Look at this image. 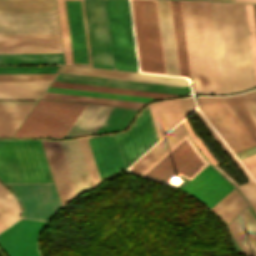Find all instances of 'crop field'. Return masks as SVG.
<instances>
[{"instance_id":"1","label":"crop field","mask_w":256,"mask_h":256,"mask_svg":"<svg viewBox=\"0 0 256 256\" xmlns=\"http://www.w3.org/2000/svg\"><path fill=\"white\" fill-rule=\"evenodd\" d=\"M194 92L230 93L253 87L243 4L181 1Z\"/></svg>"},{"instance_id":"2","label":"crop field","mask_w":256,"mask_h":256,"mask_svg":"<svg viewBox=\"0 0 256 256\" xmlns=\"http://www.w3.org/2000/svg\"><path fill=\"white\" fill-rule=\"evenodd\" d=\"M5 183L53 182L40 140H0Z\"/></svg>"},{"instance_id":"3","label":"crop field","mask_w":256,"mask_h":256,"mask_svg":"<svg viewBox=\"0 0 256 256\" xmlns=\"http://www.w3.org/2000/svg\"><path fill=\"white\" fill-rule=\"evenodd\" d=\"M140 71L166 74L156 0H130Z\"/></svg>"},{"instance_id":"4","label":"crop field","mask_w":256,"mask_h":256,"mask_svg":"<svg viewBox=\"0 0 256 256\" xmlns=\"http://www.w3.org/2000/svg\"><path fill=\"white\" fill-rule=\"evenodd\" d=\"M85 106L39 100L14 136L63 137Z\"/></svg>"},{"instance_id":"5","label":"crop field","mask_w":256,"mask_h":256,"mask_svg":"<svg viewBox=\"0 0 256 256\" xmlns=\"http://www.w3.org/2000/svg\"><path fill=\"white\" fill-rule=\"evenodd\" d=\"M208 164L187 134L141 176L165 184L176 173L191 180Z\"/></svg>"},{"instance_id":"6","label":"crop field","mask_w":256,"mask_h":256,"mask_svg":"<svg viewBox=\"0 0 256 256\" xmlns=\"http://www.w3.org/2000/svg\"><path fill=\"white\" fill-rule=\"evenodd\" d=\"M115 69L137 71L128 0H105Z\"/></svg>"},{"instance_id":"7","label":"crop field","mask_w":256,"mask_h":256,"mask_svg":"<svg viewBox=\"0 0 256 256\" xmlns=\"http://www.w3.org/2000/svg\"><path fill=\"white\" fill-rule=\"evenodd\" d=\"M197 103L198 108L233 152L237 153L255 145L219 97H198Z\"/></svg>"},{"instance_id":"8","label":"crop field","mask_w":256,"mask_h":256,"mask_svg":"<svg viewBox=\"0 0 256 256\" xmlns=\"http://www.w3.org/2000/svg\"><path fill=\"white\" fill-rule=\"evenodd\" d=\"M84 1L93 66L114 69L105 1Z\"/></svg>"},{"instance_id":"9","label":"crop field","mask_w":256,"mask_h":256,"mask_svg":"<svg viewBox=\"0 0 256 256\" xmlns=\"http://www.w3.org/2000/svg\"><path fill=\"white\" fill-rule=\"evenodd\" d=\"M113 136L125 169L158 140L148 107L128 131Z\"/></svg>"},{"instance_id":"10","label":"crop field","mask_w":256,"mask_h":256,"mask_svg":"<svg viewBox=\"0 0 256 256\" xmlns=\"http://www.w3.org/2000/svg\"><path fill=\"white\" fill-rule=\"evenodd\" d=\"M9 185L24 207V217L49 220L60 208L53 183Z\"/></svg>"},{"instance_id":"11","label":"crop field","mask_w":256,"mask_h":256,"mask_svg":"<svg viewBox=\"0 0 256 256\" xmlns=\"http://www.w3.org/2000/svg\"><path fill=\"white\" fill-rule=\"evenodd\" d=\"M72 64L92 66L83 0H63Z\"/></svg>"},{"instance_id":"12","label":"crop field","mask_w":256,"mask_h":256,"mask_svg":"<svg viewBox=\"0 0 256 256\" xmlns=\"http://www.w3.org/2000/svg\"><path fill=\"white\" fill-rule=\"evenodd\" d=\"M59 34L56 12L0 13V35Z\"/></svg>"},{"instance_id":"13","label":"crop field","mask_w":256,"mask_h":256,"mask_svg":"<svg viewBox=\"0 0 256 256\" xmlns=\"http://www.w3.org/2000/svg\"><path fill=\"white\" fill-rule=\"evenodd\" d=\"M46 222L19 220L0 233V245L9 256H40L37 236Z\"/></svg>"},{"instance_id":"14","label":"crop field","mask_w":256,"mask_h":256,"mask_svg":"<svg viewBox=\"0 0 256 256\" xmlns=\"http://www.w3.org/2000/svg\"><path fill=\"white\" fill-rule=\"evenodd\" d=\"M234 187L210 164L182 189L210 208Z\"/></svg>"},{"instance_id":"15","label":"crop field","mask_w":256,"mask_h":256,"mask_svg":"<svg viewBox=\"0 0 256 256\" xmlns=\"http://www.w3.org/2000/svg\"><path fill=\"white\" fill-rule=\"evenodd\" d=\"M55 81L97 85V86H107V87H117V88H127V89H137V90H146V91H156V92H166V93H176V94L191 93L189 87L161 85V84H153V83L99 78V77L64 74V73H59Z\"/></svg>"},{"instance_id":"16","label":"crop field","mask_w":256,"mask_h":256,"mask_svg":"<svg viewBox=\"0 0 256 256\" xmlns=\"http://www.w3.org/2000/svg\"><path fill=\"white\" fill-rule=\"evenodd\" d=\"M62 52L59 35L0 36V53Z\"/></svg>"},{"instance_id":"17","label":"crop field","mask_w":256,"mask_h":256,"mask_svg":"<svg viewBox=\"0 0 256 256\" xmlns=\"http://www.w3.org/2000/svg\"><path fill=\"white\" fill-rule=\"evenodd\" d=\"M62 206L75 192L58 141L42 140Z\"/></svg>"},{"instance_id":"18","label":"crop field","mask_w":256,"mask_h":256,"mask_svg":"<svg viewBox=\"0 0 256 256\" xmlns=\"http://www.w3.org/2000/svg\"><path fill=\"white\" fill-rule=\"evenodd\" d=\"M101 179L120 172L121 162L112 135L88 138ZM123 170V169H122Z\"/></svg>"},{"instance_id":"19","label":"crop field","mask_w":256,"mask_h":256,"mask_svg":"<svg viewBox=\"0 0 256 256\" xmlns=\"http://www.w3.org/2000/svg\"><path fill=\"white\" fill-rule=\"evenodd\" d=\"M76 195L91 189L92 184L77 140L60 142Z\"/></svg>"},{"instance_id":"20","label":"crop field","mask_w":256,"mask_h":256,"mask_svg":"<svg viewBox=\"0 0 256 256\" xmlns=\"http://www.w3.org/2000/svg\"><path fill=\"white\" fill-rule=\"evenodd\" d=\"M61 72L189 86L186 81V78H179V77L99 70V69L72 67V66H64Z\"/></svg>"},{"instance_id":"21","label":"crop field","mask_w":256,"mask_h":256,"mask_svg":"<svg viewBox=\"0 0 256 256\" xmlns=\"http://www.w3.org/2000/svg\"><path fill=\"white\" fill-rule=\"evenodd\" d=\"M157 2L165 55L166 71L167 74L179 76L169 3L168 0H157Z\"/></svg>"},{"instance_id":"22","label":"crop field","mask_w":256,"mask_h":256,"mask_svg":"<svg viewBox=\"0 0 256 256\" xmlns=\"http://www.w3.org/2000/svg\"><path fill=\"white\" fill-rule=\"evenodd\" d=\"M220 98L256 143V106L246 93Z\"/></svg>"},{"instance_id":"23","label":"crop field","mask_w":256,"mask_h":256,"mask_svg":"<svg viewBox=\"0 0 256 256\" xmlns=\"http://www.w3.org/2000/svg\"><path fill=\"white\" fill-rule=\"evenodd\" d=\"M158 138L184 118L179 100L148 105Z\"/></svg>"},{"instance_id":"24","label":"crop field","mask_w":256,"mask_h":256,"mask_svg":"<svg viewBox=\"0 0 256 256\" xmlns=\"http://www.w3.org/2000/svg\"><path fill=\"white\" fill-rule=\"evenodd\" d=\"M169 3H170L179 73H180V76L191 77L187 47H186L184 25H183V18H182V11H181V4H180V1H174V0H169Z\"/></svg>"},{"instance_id":"25","label":"crop field","mask_w":256,"mask_h":256,"mask_svg":"<svg viewBox=\"0 0 256 256\" xmlns=\"http://www.w3.org/2000/svg\"><path fill=\"white\" fill-rule=\"evenodd\" d=\"M51 81H0V99H39Z\"/></svg>"},{"instance_id":"26","label":"crop field","mask_w":256,"mask_h":256,"mask_svg":"<svg viewBox=\"0 0 256 256\" xmlns=\"http://www.w3.org/2000/svg\"><path fill=\"white\" fill-rule=\"evenodd\" d=\"M186 134L187 133L182 123H180L138 161H136L130 168V171L140 175Z\"/></svg>"},{"instance_id":"27","label":"crop field","mask_w":256,"mask_h":256,"mask_svg":"<svg viewBox=\"0 0 256 256\" xmlns=\"http://www.w3.org/2000/svg\"><path fill=\"white\" fill-rule=\"evenodd\" d=\"M111 109L107 106L87 105L64 137L95 133Z\"/></svg>"},{"instance_id":"28","label":"crop field","mask_w":256,"mask_h":256,"mask_svg":"<svg viewBox=\"0 0 256 256\" xmlns=\"http://www.w3.org/2000/svg\"><path fill=\"white\" fill-rule=\"evenodd\" d=\"M248 204L234 188L223 199H221L211 210L222 220L229 223L234 219Z\"/></svg>"},{"instance_id":"29","label":"crop field","mask_w":256,"mask_h":256,"mask_svg":"<svg viewBox=\"0 0 256 256\" xmlns=\"http://www.w3.org/2000/svg\"><path fill=\"white\" fill-rule=\"evenodd\" d=\"M32 106H0V136H12Z\"/></svg>"},{"instance_id":"30","label":"crop field","mask_w":256,"mask_h":256,"mask_svg":"<svg viewBox=\"0 0 256 256\" xmlns=\"http://www.w3.org/2000/svg\"><path fill=\"white\" fill-rule=\"evenodd\" d=\"M56 11L55 0H0V12Z\"/></svg>"},{"instance_id":"31","label":"crop field","mask_w":256,"mask_h":256,"mask_svg":"<svg viewBox=\"0 0 256 256\" xmlns=\"http://www.w3.org/2000/svg\"><path fill=\"white\" fill-rule=\"evenodd\" d=\"M8 63H63L62 53L0 54V64Z\"/></svg>"},{"instance_id":"32","label":"crop field","mask_w":256,"mask_h":256,"mask_svg":"<svg viewBox=\"0 0 256 256\" xmlns=\"http://www.w3.org/2000/svg\"><path fill=\"white\" fill-rule=\"evenodd\" d=\"M20 206V205H19ZM11 192L0 184V222L6 227L19 219L20 208ZM0 223V231L6 228Z\"/></svg>"},{"instance_id":"33","label":"crop field","mask_w":256,"mask_h":256,"mask_svg":"<svg viewBox=\"0 0 256 256\" xmlns=\"http://www.w3.org/2000/svg\"><path fill=\"white\" fill-rule=\"evenodd\" d=\"M42 98L138 108L143 103L45 92Z\"/></svg>"},{"instance_id":"34","label":"crop field","mask_w":256,"mask_h":256,"mask_svg":"<svg viewBox=\"0 0 256 256\" xmlns=\"http://www.w3.org/2000/svg\"><path fill=\"white\" fill-rule=\"evenodd\" d=\"M51 86L72 88V89H81V90H90V91H99V92H108V93H117V94H126V95H135V96H144V97H153V98H160V97L176 95V94L146 92V91H137V90H127V89L97 87V86H88V85L58 83V82H53Z\"/></svg>"},{"instance_id":"35","label":"crop field","mask_w":256,"mask_h":256,"mask_svg":"<svg viewBox=\"0 0 256 256\" xmlns=\"http://www.w3.org/2000/svg\"><path fill=\"white\" fill-rule=\"evenodd\" d=\"M136 111L113 107L96 133L124 128Z\"/></svg>"},{"instance_id":"36","label":"crop field","mask_w":256,"mask_h":256,"mask_svg":"<svg viewBox=\"0 0 256 256\" xmlns=\"http://www.w3.org/2000/svg\"><path fill=\"white\" fill-rule=\"evenodd\" d=\"M244 7L249 37L254 83L256 86V5L244 4Z\"/></svg>"},{"instance_id":"37","label":"crop field","mask_w":256,"mask_h":256,"mask_svg":"<svg viewBox=\"0 0 256 256\" xmlns=\"http://www.w3.org/2000/svg\"><path fill=\"white\" fill-rule=\"evenodd\" d=\"M47 91L59 92V93H68V94H77V95H86V96L105 97V98H114V99H123V100H132V101H141V102H146L150 99H153V98H144V97H135V96H126V95H117V94H108V93L63 89V88H54V87H49Z\"/></svg>"},{"instance_id":"38","label":"crop field","mask_w":256,"mask_h":256,"mask_svg":"<svg viewBox=\"0 0 256 256\" xmlns=\"http://www.w3.org/2000/svg\"><path fill=\"white\" fill-rule=\"evenodd\" d=\"M236 240L240 244L244 253L248 256H256V248L253 246L251 240L242 230L241 225L236 220V218L228 225Z\"/></svg>"},{"instance_id":"39","label":"crop field","mask_w":256,"mask_h":256,"mask_svg":"<svg viewBox=\"0 0 256 256\" xmlns=\"http://www.w3.org/2000/svg\"><path fill=\"white\" fill-rule=\"evenodd\" d=\"M62 66H7L0 67L2 73H58Z\"/></svg>"},{"instance_id":"40","label":"crop field","mask_w":256,"mask_h":256,"mask_svg":"<svg viewBox=\"0 0 256 256\" xmlns=\"http://www.w3.org/2000/svg\"><path fill=\"white\" fill-rule=\"evenodd\" d=\"M78 141H79V144H80V147H81V150H82L85 162H86V166H87L93 187H95L101 181L98 176V172H97V169L95 166V162H94V159L92 156V152H91V149L89 146L88 139L85 138V139H80Z\"/></svg>"},{"instance_id":"41","label":"crop field","mask_w":256,"mask_h":256,"mask_svg":"<svg viewBox=\"0 0 256 256\" xmlns=\"http://www.w3.org/2000/svg\"><path fill=\"white\" fill-rule=\"evenodd\" d=\"M237 219L256 245V220L254 219L248 208L244 210L237 217Z\"/></svg>"},{"instance_id":"42","label":"crop field","mask_w":256,"mask_h":256,"mask_svg":"<svg viewBox=\"0 0 256 256\" xmlns=\"http://www.w3.org/2000/svg\"><path fill=\"white\" fill-rule=\"evenodd\" d=\"M56 74H3L0 80H53Z\"/></svg>"},{"instance_id":"43","label":"crop field","mask_w":256,"mask_h":256,"mask_svg":"<svg viewBox=\"0 0 256 256\" xmlns=\"http://www.w3.org/2000/svg\"><path fill=\"white\" fill-rule=\"evenodd\" d=\"M66 64H71L62 0H57Z\"/></svg>"},{"instance_id":"44","label":"crop field","mask_w":256,"mask_h":256,"mask_svg":"<svg viewBox=\"0 0 256 256\" xmlns=\"http://www.w3.org/2000/svg\"><path fill=\"white\" fill-rule=\"evenodd\" d=\"M237 188L246 197V199L256 212V182L253 181Z\"/></svg>"},{"instance_id":"45","label":"crop field","mask_w":256,"mask_h":256,"mask_svg":"<svg viewBox=\"0 0 256 256\" xmlns=\"http://www.w3.org/2000/svg\"><path fill=\"white\" fill-rule=\"evenodd\" d=\"M195 112L201 118V120L204 122V124L208 127V129L212 132V134L215 136V138L219 141V143L223 146V148L230 155V157L234 160V162L241 169V171L245 174V176L248 178V180L251 181L252 177L250 178V176L247 174V172L244 170V168L240 165V163L237 161V159L233 156V154L230 152V150L227 148V146L223 143V141L220 139V137L217 135V133L213 130V128L210 126V124L206 121V119L203 117V115L200 113V111L197 110Z\"/></svg>"},{"instance_id":"46","label":"crop field","mask_w":256,"mask_h":256,"mask_svg":"<svg viewBox=\"0 0 256 256\" xmlns=\"http://www.w3.org/2000/svg\"><path fill=\"white\" fill-rule=\"evenodd\" d=\"M183 122L191 136V138L194 140V142L197 144V146L201 149V151L204 153V155L209 159V161L215 165L217 164V161L213 158V156L209 153V151L206 149V147L201 143V141L194 135L192 130L190 129L186 119H183Z\"/></svg>"},{"instance_id":"47","label":"crop field","mask_w":256,"mask_h":256,"mask_svg":"<svg viewBox=\"0 0 256 256\" xmlns=\"http://www.w3.org/2000/svg\"><path fill=\"white\" fill-rule=\"evenodd\" d=\"M241 162L256 180V155L243 159Z\"/></svg>"},{"instance_id":"48","label":"crop field","mask_w":256,"mask_h":256,"mask_svg":"<svg viewBox=\"0 0 256 256\" xmlns=\"http://www.w3.org/2000/svg\"><path fill=\"white\" fill-rule=\"evenodd\" d=\"M181 106H182V110L184 113V116L189 113L192 109H194V104H193V100L192 98H184V99H179Z\"/></svg>"},{"instance_id":"49","label":"crop field","mask_w":256,"mask_h":256,"mask_svg":"<svg viewBox=\"0 0 256 256\" xmlns=\"http://www.w3.org/2000/svg\"><path fill=\"white\" fill-rule=\"evenodd\" d=\"M36 101H0V105H34Z\"/></svg>"},{"instance_id":"50","label":"crop field","mask_w":256,"mask_h":256,"mask_svg":"<svg viewBox=\"0 0 256 256\" xmlns=\"http://www.w3.org/2000/svg\"><path fill=\"white\" fill-rule=\"evenodd\" d=\"M255 153H256V147H255V148H252V149H250V150H248V151H245V152H243V153H240V154H238V155H236V156L238 157L239 160H241V159L246 158V157H248V156H251V155H253V154H255Z\"/></svg>"},{"instance_id":"51","label":"crop field","mask_w":256,"mask_h":256,"mask_svg":"<svg viewBox=\"0 0 256 256\" xmlns=\"http://www.w3.org/2000/svg\"><path fill=\"white\" fill-rule=\"evenodd\" d=\"M247 94L251 98V100L254 102V104L256 105V91L253 90V91L247 92Z\"/></svg>"},{"instance_id":"52","label":"crop field","mask_w":256,"mask_h":256,"mask_svg":"<svg viewBox=\"0 0 256 256\" xmlns=\"http://www.w3.org/2000/svg\"><path fill=\"white\" fill-rule=\"evenodd\" d=\"M215 168L221 173L223 174L227 179H229L234 185H237L233 180H231L223 171H221L217 166H215Z\"/></svg>"},{"instance_id":"53","label":"crop field","mask_w":256,"mask_h":256,"mask_svg":"<svg viewBox=\"0 0 256 256\" xmlns=\"http://www.w3.org/2000/svg\"><path fill=\"white\" fill-rule=\"evenodd\" d=\"M231 1H234V0H231ZM235 1L256 2V0H235Z\"/></svg>"},{"instance_id":"54","label":"crop field","mask_w":256,"mask_h":256,"mask_svg":"<svg viewBox=\"0 0 256 256\" xmlns=\"http://www.w3.org/2000/svg\"><path fill=\"white\" fill-rule=\"evenodd\" d=\"M0 256H5L4 253L2 252L1 248H0Z\"/></svg>"},{"instance_id":"55","label":"crop field","mask_w":256,"mask_h":256,"mask_svg":"<svg viewBox=\"0 0 256 256\" xmlns=\"http://www.w3.org/2000/svg\"><path fill=\"white\" fill-rule=\"evenodd\" d=\"M215 1H224V0H215ZM225 1H228V0H225Z\"/></svg>"}]
</instances>
